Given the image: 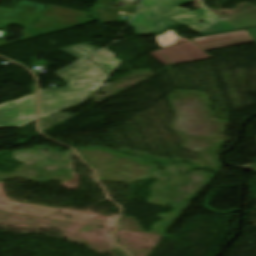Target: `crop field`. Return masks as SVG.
<instances>
[{"instance_id": "crop-field-1", "label": "crop field", "mask_w": 256, "mask_h": 256, "mask_svg": "<svg viewBox=\"0 0 256 256\" xmlns=\"http://www.w3.org/2000/svg\"><path fill=\"white\" fill-rule=\"evenodd\" d=\"M107 49L55 74L67 87L41 90L40 116L45 118L87 102L94 91L121 62Z\"/></svg>"}, {"instance_id": "crop-field-2", "label": "crop field", "mask_w": 256, "mask_h": 256, "mask_svg": "<svg viewBox=\"0 0 256 256\" xmlns=\"http://www.w3.org/2000/svg\"><path fill=\"white\" fill-rule=\"evenodd\" d=\"M161 48L178 44L188 39L177 36L173 30H168L157 36ZM190 41V40H189ZM254 41L247 30L227 34L195 38L193 41L184 42L170 48L151 53L153 57L164 65L190 62L212 58L204 51L252 42Z\"/></svg>"}, {"instance_id": "crop-field-3", "label": "crop field", "mask_w": 256, "mask_h": 256, "mask_svg": "<svg viewBox=\"0 0 256 256\" xmlns=\"http://www.w3.org/2000/svg\"><path fill=\"white\" fill-rule=\"evenodd\" d=\"M200 35L256 26V6L248 8L227 19H220L206 8L170 17ZM205 22L200 23L198 21ZM175 21V22H176Z\"/></svg>"}, {"instance_id": "crop-field-4", "label": "crop field", "mask_w": 256, "mask_h": 256, "mask_svg": "<svg viewBox=\"0 0 256 256\" xmlns=\"http://www.w3.org/2000/svg\"><path fill=\"white\" fill-rule=\"evenodd\" d=\"M192 0H142L141 9L131 22L137 35L160 33L177 24L165 19L189 10L179 6Z\"/></svg>"}, {"instance_id": "crop-field-5", "label": "crop field", "mask_w": 256, "mask_h": 256, "mask_svg": "<svg viewBox=\"0 0 256 256\" xmlns=\"http://www.w3.org/2000/svg\"><path fill=\"white\" fill-rule=\"evenodd\" d=\"M89 14L49 5L29 30L33 38L73 28L95 20Z\"/></svg>"}, {"instance_id": "crop-field-6", "label": "crop field", "mask_w": 256, "mask_h": 256, "mask_svg": "<svg viewBox=\"0 0 256 256\" xmlns=\"http://www.w3.org/2000/svg\"><path fill=\"white\" fill-rule=\"evenodd\" d=\"M37 95L0 105V129L18 128L36 121Z\"/></svg>"}, {"instance_id": "crop-field-7", "label": "crop field", "mask_w": 256, "mask_h": 256, "mask_svg": "<svg viewBox=\"0 0 256 256\" xmlns=\"http://www.w3.org/2000/svg\"><path fill=\"white\" fill-rule=\"evenodd\" d=\"M47 6L35 4L21 0L14 10L0 8V29L9 25L16 24L25 28L23 32V39L7 43L5 40L0 41V46L31 39L27 29L32 25L36 18L45 10Z\"/></svg>"}, {"instance_id": "crop-field-8", "label": "crop field", "mask_w": 256, "mask_h": 256, "mask_svg": "<svg viewBox=\"0 0 256 256\" xmlns=\"http://www.w3.org/2000/svg\"><path fill=\"white\" fill-rule=\"evenodd\" d=\"M112 0H98L97 5L91 10V16L102 23H116L119 14L134 15L138 8L114 9L111 8Z\"/></svg>"}, {"instance_id": "crop-field-9", "label": "crop field", "mask_w": 256, "mask_h": 256, "mask_svg": "<svg viewBox=\"0 0 256 256\" xmlns=\"http://www.w3.org/2000/svg\"><path fill=\"white\" fill-rule=\"evenodd\" d=\"M97 50L99 49L92 47L86 43H82L59 51L79 60Z\"/></svg>"}, {"instance_id": "crop-field-10", "label": "crop field", "mask_w": 256, "mask_h": 256, "mask_svg": "<svg viewBox=\"0 0 256 256\" xmlns=\"http://www.w3.org/2000/svg\"><path fill=\"white\" fill-rule=\"evenodd\" d=\"M249 34L256 38V28L247 29ZM256 40V39H255Z\"/></svg>"}, {"instance_id": "crop-field-11", "label": "crop field", "mask_w": 256, "mask_h": 256, "mask_svg": "<svg viewBox=\"0 0 256 256\" xmlns=\"http://www.w3.org/2000/svg\"><path fill=\"white\" fill-rule=\"evenodd\" d=\"M198 1H199V3H200L201 6L205 7L204 4H203V2H202V0H198Z\"/></svg>"}]
</instances>
